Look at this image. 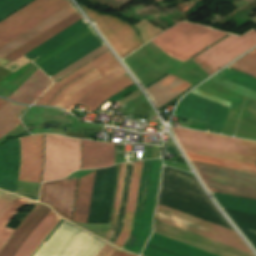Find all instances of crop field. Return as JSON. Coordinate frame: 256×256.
<instances>
[{
  "mask_svg": "<svg viewBox=\"0 0 256 256\" xmlns=\"http://www.w3.org/2000/svg\"><path fill=\"white\" fill-rule=\"evenodd\" d=\"M32 0H0V20Z\"/></svg>",
  "mask_w": 256,
  "mask_h": 256,
  "instance_id": "crop-field-37",
  "label": "crop field"
},
{
  "mask_svg": "<svg viewBox=\"0 0 256 256\" xmlns=\"http://www.w3.org/2000/svg\"><path fill=\"white\" fill-rule=\"evenodd\" d=\"M133 85L129 78L124 75L105 84L104 86L94 90L85 96L79 105L88 106L86 111L93 113L94 110L105 100L110 98L117 92Z\"/></svg>",
  "mask_w": 256,
  "mask_h": 256,
  "instance_id": "crop-field-24",
  "label": "crop field"
},
{
  "mask_svg": "<svg viewBox=\"0 0 256 256\" xmlns=\"http://www.w3.org/2000/svg\"><path fill=\"white\" fill-rule=\"evenodd\" d=\"M141 166H142V163L136 164L133 167L127 208H126V214H125V220H124V226H123V230H122L117 242L115 243V245H117L121 248H122L125 240L127 239L128 235L131 231V227H132V221H133V215H134V209H135V203H136V196H137ZM125 170H126V163H123V164H121V167H120L112 223H111V227L105 237V240H107V241L109 240V238L115 228V225H116V219H117L120 197H121V192H122V187H123Z\"/></svg>",
  "mask_w": 256,
  "mask_h": 256,
  "instance_id": "crop-field-14",
  "label": "crop field"
},
{
  "mask_svg": "<svg viewBox=\"0 0 256 256\" xmlns=\"http://www.w3.org/2000/svg\"><path fill=\"white\" fill-rule=\"evenodd\" d=\"M216 77L232 82L256 92V79L243 75L228 68L220 72Z\"/></svg>",
  "mask_w": 256,
  "mask_h": 256,
  "instance_id": "crop-field-33",
  "label": "crop field"
},
{
  "mask_svg": "<svg viewBox=\"0 0 256 256\" xmlns=\"http://www.w3.org/2000/svg\"><path fill=\"white\" fill-rule=\"evenodd\" d=\"M17 196L11 195L7 192H3L0 195V216L9 207V205L15 200Z\"/></svg>",
  "mask_w": 256,
  "mask_h": 256,
  "instance_id": "crop-field-38",
  "label": "crop field"
},
{
  "mask_svg": "<svg viewBox=\"0 0 256 256\" xmlns=\"http://www.w3.org/2000/svg\"><path fill=\"white\" fill-rule=\"evenodd\" d=\"M120 67V64L114 57L96 69L106 75ZM121 68L106 76L96 69L91 71L87 75L65 87L49 105L56 106L64 97L78 103L91 90L124 74L125 71L122 68L123 72Z\"/></svg>",
  "mask_w": 256,
  "mask_h": 256,
  "instance_id": "crop-field-13",
  "label": "crop field"
},
{
  "mask_svg": "<svg viewBox=\"0 0 256 256\" xmlns=\"http://www.w3.org/2000/svg\"><path fill=\"white\" fill-rule=\"evenodd\" d=\"M96 173L80 178L73 222L88 223Z\"/></svg>",
  "mask_w": 256,
  "mask_h": 256,
  "instance_id": "crop-field-26",
  "label": "crop field"
},
{
  "mask_svg": "<svg viewBox=\"0 0 256 256\" xmlns=\"http://www.w3.org/2000/svg\"><path fill=\"white\" fill-rule=\"evenodd\" d=\"M229 108L192 93L180 101L173 116L208 123L207 131L220 134Z\"/></svg>",
  "mask_w": 256,
  "mask_h": 256,
  "instance_id": "crop-field-11",
  "label": "crop field"
},
{
  "mask_svg": "<svg viewBox=\"0 0 256 256\" xmlns=\"http://www.w3.org/2000/svg\"><path fill=\"white\" fill-rule=\"evenodd\" d=\"M19 166L20 138L0 146V188L15 193Z\"/></svg>",
  "mask_w": 256,
  "mask_h": 256,
  "instance_id": "crop-field-17",
  "label": "crop field"
},
{
  "mask_svg": "<svg viewBox=\"0 0 256 256\" xmlns=\"http://www.w3.org/2000/svg\"><path fill=\"white\" fill-rule=\"evenodd\" d=\"M160 159L144 161L132 231L123 249L139 254L150 230Z\"/></svg>",
  "mask_w": 256,
  "mask_h": 256,
  "instance_id": "crop-field-3",
  "label": "crop field"
},
{
  "mask_svg": "<svg viewBox=\"0 0 256 256\" xmlns=\"http://www.w3.org/2000/svg\"><path fill=\"white\" fill-rule=\"evenodd\" d=\"M230 67L256 76V49L244 56Z\"/></svg>",
  "mask_w": 256,
  "mask_h": 256,
  "instance_id": "crop-field-35",
  "label": "crop field"
},
{
  "mask_svg": "<svg viewBox=\"0 0 256 256\" xmlns=\"http://www.w3.org/2000/svg\"><path fill=\"white\" fill-rule=\"evenodd\" d=\"M50 83L51 80L38 69L9 99L20 103L31 104Z\"/></svg>",
  "mask_w": 256,
  "mask_h": 256,
  "instance_id": "crop-field-25",
  "label": "crop field"
},
{
  "mask_svg": "<svg viewBox=\"0 0 256 256\" xmlns=\"http://www.w3.org/2000/svg\"><path fill=\"white\" fill-rule=\"evenodd\" d=\"M190 86L192 85L170 74L148 88L147 92L158 107Z\"/></svg>",
  "mask_w": 256,
  "mask_h": 256,
  "instance_id": "crop-field-27",
  "label": "crop field"
},
{
  "mask_svg": "<svg viewBox=\"0 0 256 256\" xmlns=\"http://www.w3.org/2000/svg\"><path fill=\"white\" fill-rule=\"evenodd\" d=\"M165 148H166L167 153H171V154H175V155L181 156L180 153L177 151V149L171 148V147H167V146H165Z\"/></svg>",
  "mask_w": 256,
  "mask_h": 256,
  "instance_id": "crop-field-39",
  "label": "crop field"
},
{
  "mask_svg": "<svg viewBox=\"0 0 256 256\" xmlns=\"http://www.w3.org/2000/svg\"><path fill=\"white\" fill-rule=\"evenodd\" d=\"M80 19H82V18L79 16V14L77 12L74 13L73 15L69 16L65 20L61 21L60 23L53 26L52 28H50L46 32L42 33L38 37L34 38L30 42L26 43L25 45H23L19 49L15 50L11 54H9L6 57H4L3 59H1L0 60V65H2L4 67L7 66L8 64H10L13 61H15L16 59L20 58L21 56H23L27 52L31 51L35 47L39 46L43 42L50 39L51 37L55 36L59 32L63 31L67 27L71 26L75 22L79 21Z\"/></svg>",
  "mask_w": 256,
  "mask_h": 256,
  "instance_id": "crop-field-22",
  "label": "crop field"
},
{
  "mask_svg": "<svg viewBox=\"0 0 256 256\" xmlns=\"http://www.w3.org/2000/svg\"><path fill=\"white\" fill-rule=\"evenodd\" d=\"M114 164V144L82 140L81 169L103 168Z\"/></svg>",
  "mask_w": 256,
  "mask_h": 256,
  "instance_id": "crop-field-19",
  "label": "crop field"
},
{
  "mask_svg": "<svg viewBox=\"0 0 256 256\" xmlns=\"http://www.w3.org/2000/svg\"><path fill=\"white\" fill-rule=\"evenodd\" d=\"M80 167V140L45 135L43 181L61 179Z\"/></svg>",
  "mask_w": 256,
  "mask_h": 256,
  "instance_id": "crop-field-5",
  "label": "crop field"
},
{
  "mask_svg": "<svg viewBox=\"0 0 256 256\" xmlns=\"http://www.w3.org/2000/svg\"><path fill=\"white\" fill-rule=\"evenodd\" d=\"M70 4L68 0H35L0 23V47Z\"/></svg>",
  "mask_w": 256,
  "mask_h": 256,
  "instance_id": "crop-field-6",
  "label": "crop field"
},
{
  "mask_svg": "<svg viewBox=\"0 0 256 256\" xmlns=\"http://www.w3.org/2000/svg\"><path fill=\"white\" fill-rule=\"evenodd\" d=\"M6 103L7 101L0 99V110ZM26 107L27 106H19L10 102L3 107L0 111V137L20 123L17 116H19Z\"/></svg>",
  "mask_w": 256,
  "mask_h": 256,
  "instance_id": "crop-field-30",
  "label": "crop field"
},
{
  "mask_svg": "<svg viewBox=\"0 0 256 256\" xmlns=\"http://www.w3.org/2000/svg\"><path fill=\"white\" fill-rule=\"evenodd\" d=\"M62 218L58 217L52 210L28 238L15 256H31L41 241L57 225Z\"/></svg>",
  "mask_w": 256,
  "mask_h": 256,
  "instance_id": "crop-field-28",
  "label": "crop field"
},
{
  "mask_svg": "<svg viewBox=\"0 0 256 256\" xmlns=\"http://www.w3.org/2000/svg\"><path fill=\"white\" fill-rule=\"evenodd\" d=\"M226 34L183 22L151 41L165 53L184 62Z\"/></svg>",
  "mask_w": 256,
  "mask_h": 256,
  "instance_id": "crop-field-4",
  "label": "crop field"
},
{
  "mask_svg": "<svg viewBox=\"0 0 256 256\" xmlns=\"http://www.w3.org/2000/svg\"><path fill=\"white\" fill-rule=\"evenodd\" d=\"M51 209L38 203L0 250V256H14Z\"/></svg>",
  "mask_w": 256,
  "mask_h": 256,
  "instance_id": "crop-field-18",
  "label": "crop field"
},
{
  "mask_svg": "<svg viewBox=\"0 0 256 256\" xmlns=\"http://www.w3.org/2000/svg\"><path fill=\"white\" fill-rule=\"evenodd\" d=\"M112 57L114 56L109 50L104 52L100 56L96 57L95 59L80 67L76 71L72 72L68 76L64 77L60 81L56 82L36 104L48 105L65 86L69 85L73 81L77 80L81 76L90 72L91 70L98 67Z\"/></svg>",
  "mask_w": 256,
  "mask_h": 256,
  "instance_id": "crop-field-23",
  "label": "crop field"
},
{
  "mask_svg": "<svg viewBox=\"0 0 256 256\" xmlns=\"http://www.w3.org/2000/svg\"><path fill=\"white\" fill-rule=\"evenodd\" d=\"M92 32H94L92 30V28L90 26L87 27L83 31L79 32L78 34H76L75 36H73L72 38H70L69 40L64 42L63 44H61L60 46L56 47L55 49H53L49 53L45 54L44 56L37 58L33 62L36 63L37 65L42 63L43 61L47 60L48 58H50L53 55L57 54L58 52L62 51L63 49L69 47L70 45L74 44L75 42L79 41L80 39L84 38L85 36L89 35ZM97 39H99V37L94 32L38 66L44 71V70L48 69L49 67L55 65L56 63L60 62L61 60L65 59L66 57L70 56L71 54L82 49L83 47L87 46L88 44L94 42ZM102 45H104V44L101 41V39H99L44 72L51 77V76L55 75L56 73H58L59 71L63 70L64 68L68 67L69 65L73 64L77 60H79L82 57L86 56L87 54L91 53L95 49L99 48Z\"/></svg>",
  "mask_w": 256,
  "mask_h": 256,
  "instance_id": "crop-field-8",
  "label": "crop field"
},
{
  "mask_svg": "<svg viewBox=\"0 0 256 256\" xmlns=\"http://www.w3.org/2000/svg\"><path fill=\"white\" fill-rule=\"evenodd\" d=\"M43 166V135L21 139V166L18 181L39 182Z\"/></svg>",
  "mask_w": 256,
  "mask_h": 256,
  "instance_id": "crop-field-16",
  "label": "crop field"
},
{
  "mask_svg": "<svg viewBox=\"0 0 256 256\" xmlns=\"http://www.w3.org/2000/svg\"><path fill=\"white\" fill-rule=\"evenodd\" d=\"M190 160L256 173V166L186 153Z\"/></svg>",
  "mask_w": 256,
  "mask_h": 256,
  "instance_id": "crop-field-34",
  "label": "crop field"
},
{
  "mask_svg": "<svg viewBox=\"0 0 256 256\" xmlns=\"http://www.w3.org/2000/svg\"><path fill=\"white\" fill-rule=\"evenodd\" d=\"M84 9L90 18L96 21L99 30L121 58L143 44L127 22L111 15H99L89 9Z\"/></svg>",
  "mask_w": 256,
  "mask_h": 256,
  "instance_id": "crop-field-12",
  "label": "crop field"
},
{
  "mask_svg": "<svg viewBox=\"0 0 256 256\" xmlns=\"http://www.w3.org/2000/svg\"><path fill=\"white\" fill-rule=\"evenodd\" d=\"M26 204L33 207L36 206L37 202L28 200L26 198L18 196L16 200L10 205V207L0 217V248L12 234L13 230L5 227L11 218L21 210Z\"/></svg>",
  "mask_w": 256,
  "mask_h": 256,
  "instance_id": "crop-field-31",
  "label": "crop field"
},
{
  "mask_svg": "<svg viewBox=\"0 0 256 256\" xmlns=\"http://www.w3.org/2000/svg\"><path fill=\"white\" fill-rule=\"evenodd\" d=\"M106 50H108V49L106 48L105 45L100 47L96 51L92 52L91 54L87 55L86 57L82 58L78 62L74 63L73 65L69 66L68 68L64 69L63 71H61L60 73L56 74L55 76H53L51 78L53 79L54 82L59 80L60 78L64 77L68 73H70L73 70L77 69L78 67L82 66L83 64H85L86 62L95 58L96 56L100 55L101 53H103Z\"/></svg>",
  "mask_w": 256,
  "mask_h": 256,
  "instance_id": "crop-field-36",
  "label": "crop field"
},
{
  "mask_svg": "<svg viewBox=\"0 0 256 256\" xmlns=\"http://www.w3.org/2000/svg\"><path fill=\"white\" fill-rule=\"evenodd\" d=\"M104 241L61 220L32 256H92ZM134 256L107 243L93 256Z\"/></svg>",
  "mask_w": 256,
  "mask_h": 256,
  "instance_id": "crop-field-1",
  "label": "crop field"
},
{
  "mask_svg": "<svg viewBox=\"0 0 256 256\" xmlns=\"http://www.w3.org/2000/svg\"><path fill=\"white\" fill-rule=\"evenodd\" d=\"M179 143L256 156V143L172 127ZM181 144L184 151L255 164L256 158Z\"/></svg>",
  "mask_w": 256,
  "mask_h": 256,
  "instance_id": "crop-field-2",
  "label": "crop field"
},
{
  "mask_svg": "<svg viewBox=\"0 0 256 256\" xmlns=\"http://www.w3.org/2000/svg\"><path fill=\"white\" fill-rule=\"evenodd\" d=\"M74 12H76V11L72 7V5L70 4L67 7L60 10L59 12L52 15L51 17H49L48 19L44 20L43 22H41L37 26L33 27L29 31L25 32L24 34H22L18 38L14 39L13 41L8 43L7 45L0 48V59L3 58L4 56H6L7 54L11 53L15 49L19 48L20 46H22L26 42L30 41L34 37L38 36L42 32L46 31L47 29H49L53 25L57 24L61 20L65 19L69 15L73 14Z\"/></svg>",
  "mask_w": 256,
  "mask_h": 256,
  "instance_id": "crop-field-21",
  "label": "crop field"
},
{
  "mask_svg": "<svg viewBox=\"0 0 256 256\" xmlns=\"http://www.w3.org/2000/svg\"><path fill=\"white\" fill-rule=\"evenodd\" d=\"M256 45V31L242 37L228 36L192 60L209 75Z\"/></svg>",
  "mask_w": 256,
  "mask_h": 256,
  "instance_id": "crop-field-10",
  "label": "crop field"
},
{
  "mask_svg": "<svg viewBox=\"0 0 256 256\" xmlns=\"http://www.w3.org/2000/svg\"><path fill=\"white\" fill-rule=\"evenodd\" d=\"M153 234H154V235H157V236H159V237L168 239V240H170V241L179 243V242H177V241H174V240H171V239H169V238L160 236V235H158V234H155V233H153ZM154 235H152V237H151L150 240L148 241V243H147V245H146V247H145V249H144V251H143V253H142L143 256H209V255L215 256V255H212V254H210V253L201 251V250H199V249L190 247V246H188V245L179 243V244H181V245L187 246V247H189V248L198 250V251H200V252H203V253H206V254H209V255L200 253V252H198V251L189 249V248H187V247L178 245V244H176V243L170 242V241H168V240L159 238V237L154 236Z\"/></svg>",
  "mask_w": 256,
  "mask_h": 256,
  "instance_id": "crop-field-20",
  "label": "crop field"
},
{
  "mask_svg": "<svg viewBox=\"0 0 256 256\" xmlns=\"http://www.w3.org/2000/svg\"><path fill=\"white\" fill-rule=\"evenodd\" d=\"M78 178L43 183L40 202L49 204L59 215L71 219Z\"/></svg>",
  "mask_w": 256,
  "mask_h": 256,
  "instance_id": "crop-field-15",
  "label": "crop field"
},
{
  "mask_svg": "<svg viewBox=\"0 0 256 256\" xmlns=\"http://www.w3.org/2000/svg\"><path fill=\"white\" fill-rule=\"evenodd\" d=\"M192 164L209 190L256 199V175L193 162Z\"/></svg>",
  "mask_w": 256,
  "mask_h": 256,
  "instance_id": "crop-field-9",
  "label": "crop field"
},
{
  "mask_svg": "<svg viewBox=\"0 0 256 256\" xmlns=\"http://www.w3.org/2000/svg\"><path fill=\"white\" fill-rule=\"evenodd\" d=\"M221 207L256 213V201L224 194L213 193Z\"/></svg>",
  "mask_w": 256,
  "mask_h": 256,
  "instance_id": "crop-field-32",
  "label": "crop field"
},
{
  "mask_svg": "<svg viewBox=\"0 0 256 256\" xmlns=\"http://www.w3.org/2000/svg\"><path fill=\"white\" fill-rule=\"evenodd\" d=\"M154 218L252 253L242 242L236 232L192 217L190 215L178 212L176 210L158 204Z\"/></svg>",
  "mask_w": 256,
  "mask_h": 256,
  "instance_id": "crop-field-7",
  "label": "crop field"
},
{
  "mask_svg": "<svg viewBox=\"0 0 256 256\" xmlns=\"http://www.w3.org/2000/svg\"><path fill=\"white\" fill-rule=\"evenodd\" d=\"M87 26H89L88 23H83L82 20H80L79 22L75 23L71 27L67 28L63 32L59 33L55 37L51 38L50 40H48L47 42L40 45L39 47H37L36 49L32 50L24 56H26L28 59L32 61L36 57H40L48 51L55 48L56 46L60 45L61 43H63L79 31H81L82 29L86 28Z\"/></svg>",
  "mask_w": 256,
  "mask_h": 256,
  "instance_id": "crop-field-29",
  "label": "crop field"
}]
</instances>
